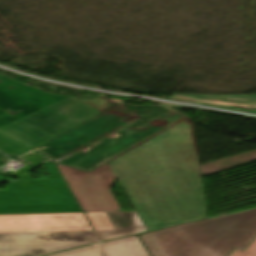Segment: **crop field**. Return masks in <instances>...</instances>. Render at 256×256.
<instances>
[{
  "instance_id": "733c2abd",
  "label": "crop field",
  "mask_w": 256,
  "mask_h": 256,
  "mask_svg": "<svg viewBox=\"0 0 256 256\" xmlns=\"http://www.w3.org/2000/svg\"><path fill=\"white\" fill-rule=\"evenodd\" d=\"M182 98H185V97H182ZM189 99H194V98H189ZM195 100H200V99H195ZM200 101L205 102V103L218 104V105H225V106H232V107H242V108H248V109H256V103H252V104H234V103H224V102H220V101H203V100H200Z\"/></svg>"
},
{
  "instance_id": "28ad6ade",
  "label": "crop field",
  "mask_w": 256,
  "mask_h": 256,
  "mask_svg": "<svg viewBox=\"0 0 256 256\" xmlns=\"http://www.w3.org/2000/svg\"><path fill=\"white\" fill-rule=\"evenodd\" d=\"M21 161L25 162L26 164H28L27 166L19 169L20 171L12 176L18 178L20 175L44 164L45 162H47L48 160L53 161L51 158L40 154L36 151L30 152L28 154H26L25 156L21 157L20 159Z\"/></svg>"
},
{
  "instance_id": "34b2d1b8",
  "label": "crop field",
  "mask_w": 256,
  "mask_h": 256,
  "mask_svg": "<svg viewBox=\"0 0 256 256\" xmlns=\"http://www.w3.org/2000/svg\"><path fill=\"white\" fill-rule=\"evenodd\" d=\"M140 236L153 256H227L256 238V209Z\"/></svg>"
},
{
  "instance_id": "d8731c3e",
  "label": "crop field",
  "mask_w": 256,
  "mask_h": 256,
  "mask_svg": "<svg viewBox=\"0 0 256 256\" xmlns=\"http://www.w3.org/2000/svg\"><path fill=\"white\" fill-rule=\"evenodd\" d=\"M92 230L82 213L0 215V232Z\"/></svg>"
},
{
  "instance_id": "cbeb9de0",
  "label": "crop field",
  "mask_w": 256,
  "mask_h": 256,
  "mask_svg": "<svg viewBox=\"0 0 256 256\" xmlns=\"http://www.w3.org/2000/svg\"><path fill=\"white\" fill-rule=\"evenodd\" d=\"M94 230H112L103 213H86Z\"/></svg>"
},
{
  "instance_id": "5142ce71",
  "label": "crop field",
  "mask_w": 256,
  "mask_h": 256,
  "mask_svg": "<svg viewBox=\"0 0 256 256\" xmlns=\"http://www.w3.org/2000/svg\"><path fill=\"white\" fill-rule=\"evenodd\" d=\"M75 256H100L99 244L74 250Z\"/></svg>"
},
{
  "instance_id": "d1516ede",
  "label": "crop field",
  "mask_w": 256,
  "mask_h": 256,
  "mask_svg": "<svg viewBox=\"0 0 256 256\" xmlns=\"http://www.w3.org/2000/svg\"><path fill=\"white\" fill-rule=\"evenodd\" d=\"M182 96H192L202 99H220L224 101L233 102H251L256 101V95H182Z\"/></svg>"
},
{
  "instance_id": "5a996713",
  "label": "crop field",
  "mask_w": 256,
  "mask_h": 256,
  "mask_svg": "<svg viewBox=\"0 0 256 256\" xmlns=\"http://www.w3.org/2000/svg\"><path fill=\"white\" fill-rule=\"evenodd\" d=\"M114 231H96L101 241L144 231L136 212L104 213Z\"/></svg>"
},
{
  "instance_id": "412701ff",
  "label": "crop field",
  "mask_w": 256,
  "mask_h": 256,
  "mask_svg": "<svg viewBox=\"0 0 256 256\" xmlns=\"http://www.w3.org/2000/svg\"><path fill=\"white\" fill-rule=\"evenodd\" d=\"M74 98L0 126V151L15 159L100 113Z\"/></svg>"
},
{
  "instance_id": "d9b57169",
  "label": "crop field",
  "mask_w": 256,
  "mask_h": 256,
  "mask_svg": "<svg viewBox=\"0 0 256 256\" xmlns=\"http://www.w3.org/2000/svg\"><path fill=\"white\" fill-rule=\"evenodd\" d=\"M229 256H256V239L245 250H233Z\"/></svg>"
},
{
  "instance_id": "8a807250",
  "label": "crop field",
  "mask_w": 256,
  "mask_h": 256,
  "mask_svg": "<svg viewBox=\"0 0 256 256\" xmlns=\"http://www.w3.org/2000/svg\"><path fill=\"white\" fill-rule=\"evenodd\" d=\"M108 162L147 231L204 218L188 119Z\"/></svg>"
},
{
  "instance_id": "4a817a6b",
  "label": "crop field",
  "mask_w": 256,
  "mask_h": 256,
  "mask_svg": "<svg viewBox=\"0 0 256 256\" xmlns=\"http://www.w3.org/2000/svg\"><path fill=\"white\" fill-rule=\"evenodd\" d=\"M46 256H74V254H73V250H69V251H64V252H60V253L50 254V255H46Z\"/></svg>"
},
{
  "instance_id": "22f410ed",
  "label": "crop field",
  "mask_w": 256,
  "mask_h": 256,
  "mask_svg": "<svg viewBox=\"0 0 256 256\" xmlns=\"http://www.w3.org/2000/svg\"><path fill=\"white\" fill-rule=\"evenodd\" d=\"M77 98L101 112L110 108L112 105L116 104L114 102L107 100L104 96H94V97L77 96Z\"/></svg>"
},
{
  "instance_id": "e52e79f7",
  "label": "crop field",
  "mask_w": 256,
  "mask_h": 256,
  "mask_svg": "<svg viewBox=\"0 0 256 256\" xmlns=\"http://www.w3.org/2000/svg\"><path fill=\"white\" fill-rule=\"evenodd\" d=\"M57 165L85 212L121 211L109 190L116 176L108 162L89 173Z\"/></svg>"
},
{
  "instance_id": "dd49c442",
  "label": "crop field",
  "mask_w": 256,
  "mask_h": 256,
  "mask_svg": "<svg viewBox=\"0 0 256 256\" xmlns=\"http://www.w3.org/2000/svg\"><path fill=\"white\" fill-rule=\"evenodd\" d=\"M97 241L94 231L0 233V256H40Z\"/></svg>"
},
{
  "instance_id": "bc2a9ffb",
  "label": "crop field",
  "mask_w": 256,
  "mask_h": 256,
  "mask_svg": "<svg viewBox=\"0 0 256 256\" xmlns=\"http://www.w3.org/2000/svg\"><path fill=\"white\" fill-rule=\"evenodd\" d=\"M2 160H3V162H4L5 164L8 162L7 157L3 158Z\"/></svg>"
},
{
  "instance_id": "f4fd0767",
  "label": "crop field",
  "mask_w": 256,
  "mask_h": 256,
  "mask_svg": "<svg viewBox=\"0 0 256 256\" xmlns=\"http://www.w3.org/2000/svg\"><path fill=\"white\" fill-rule=\"evenodd\" d=\"M53 179L32 180L28 175L0 190V214L80 212L54 163L44 164ZM0 182H8L0 177Z\"/></svg>"
},
{
  "instance_id": "ac0d7876",
  "label": "crop field",
  "mask_w": 256,
  "mask_h": 256,
  "mask_svg": "<svg viewBox=\"0 0 256 256\" xmlns=\"http://www.w3.org/2000/svg\"><path fill=\"white\" fill-rule=\"evenodd\" d=\"M185 118L165 106L117 104L34 150L88 172Z\"/></svg>"
},
{
  "instance_id": "3316defc",
  "label": "crop field",
  "mask_w": 256,
  "mask_h": 256,
  "mask_svg": "<svg viewBox=\"0 0 256 256\" xmlns=\"http://www.w3.org/2000/svg\"><path fill=\"white\" fill-rule=\"evenodd\" d=\"M101 256H148L136 236L100 244Z\"/></svg>"
}]
</instances>
